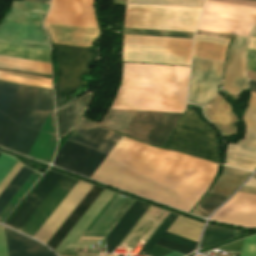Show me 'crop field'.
I'll list each match as a JSON object with an SVG mask.
<instances>
[{"label": "crop field", "mask_w": 256, "mask_h": 256, "mask_svg": "<svg viewBox=\"0 0 256 256\" xmlns=\"http://www.w3.org/2000/svg\"><path fill=\"white\" fill-rule=\"evenodd\" d=\"M196 34L212 36V37H219V38H226V39H234V40L237 37V36H234V35H227V34H221V33L207 32V31H201V30H198Z\"/></svg>", "instance_id": "crop-field-45"}, {"label": "crop field", "mask_w": 256, "mask_h": 256, "mask_svg": "<svg viewBox=\"0 0 256 256\" xmlns=\"http://www.w3.org/2000/svg\"><path fill=\"white\" fill-rule=\"evenodd\" d=\"M19 85L0 82V123L18 89Z\"/></svg>", "instance_id": "crop-field-36"}, {"label": "crop field", "mask_w": 256, "mask_h": 256, "mask_svg": "<svg viewBox=\"0 0 256 256\" xmlns=\"http://www.w3.org/2000/svg\"><path fill=\"white\" fill-rule=\"evenodd\" d=\"M256 24V8L205 2L199 28L248 37Z\"/></svg>", "instance_id": "crop-field-8"}, {"label": "crop field", "mask_w": 256, "mask_h": 256, "mask_svg": "<svg viewBox=\"0 0 256 256\" xmlns=\"http://www.w3.org/2000/svg\"><path fill=\"white\" fill-rule=\"evenodd\" d=\"M172 251L173 250H170L168 248H165V247H162V246L156 244L154 246V248L150 251L148 256H164Z\"/></svg>", "instance_id": "crop-field-43"}, {"label": "crop field", "mask_w": 256, "mask_h": 256, "mask_svg": "<svg viewBox=\"0 0 256 256\" xmlns=\"http://www.w3.org/2000/svg\"><path fill=\"white\" fill-rule=\"evenodd\" d=\"M4 73H10V74L22 75V76H28V77H35V78H39L40 80L17 77V76L4 74ZM0 79L7 80V81H12V82H18V83H24V84H30V85H37V86L52 88L51 87V79H48V78H42V77H36V76H30V75L0 71Z\"/></svg>", "instance_id": "crop-field-37"}, {"label": "crop field", "mask_w": 256, "mask_h": 256, "mask_svg": "<svg viewBox=\"0 0 256 256\" xmlns=\"http://www.w3.org/2000/svg\"><path fill=\"white\" fill-rule=\"evenodd\" d=\"M240 256H256V235L245 239Z\"/></svg>", "instance_id": "crop-field-40"}, {"label": "crop field", "mask_w": 256, "mask_h": 256, "mask_svg": "<svg viewBox=\"0 0 256 256\" xmlns=\"http://www.w3.org/2000/svg\"><path fill=\"white\" fill-rule=\"evenodd\" d=\"M248 38L238 36L230 45L227 62L226 76L223 89L238 93L247 87L246 75V48Z\"/></svg>", "instance_id": "crop-field-14"}, {"label": "crop field", "mask_w": 256, "mask_h": 256, "mask_svg": "<svg viewBox=\"0 0 256 256\" xmlns=\"http://www.w3.org/2000/svg\"><path fill=\"white\" fill-rule=\"evenodd\" d=\"M124 43L191 48L192 40L124 35Z\"/></svg>", "instance_id": "crop-field-29"}, {"label": "crop field", "mask_w": 256, "mask_h": 256, "mask_svg": "<svg viewBox=\"0 0 256 256\" xmlns=\"http://www.w3.org/2000/svg\"><path fill=\"white\" fill-rule=\"evenodd\" d=\"M92 100V92L74 100L68 106L58 110L59 135L64 136L77 124L79 118L86 112Z\"/></svg>", "instance_id": "crop-field-24"}, {"label": "crop field", "mask_w": 256, "mask_h": 256, "mask_svg": "<svg viewBox=\"0 0 256 256\" xmlns=\"http://www.w3.org/2000/svg\"><path fill=\"white\" fill-rule=\"evenodd\" d=\"M0 67L51 75L50 64L17 58L0 56Z\"/></svg>", "instance_id": "crop-field-28"}, {"label": "crop field", "mask_w": 256, "mask_h": 256, "mask_svg": "<svg viewBox=\"0 0 256 256\" xmlns=\"http://www.w3.org/2000/svg\"><path fill=\"white\" fill-rule=\"evenodd\" d=\"M206 105L211 107L207 109L204 107ZM204 106L206 117L219 127L223 136L237 133V128L235 127L237 119L231 105L223 96L217 94Z\"/></svg>", "instance_id": "crop-field-20"}, {"label": "crop field", "mask_w": 256, "mask_h": 256, "mask_svg": "<svg viewBox=\"0 0 256 256\" xmlns=\"http://www.w3.org/2000/svg\"><path fill=\"white\" fill-rule=\"evenodd\" d=\"M157 244L163 245V246H165V247H168V248L177 250V251L182 252V253H185V254H189V253H191V252L194 251V249H191V248H188V247H186V246H183V245H180V244L171 242V241L166 240V239H163V238H161V239L158 241Z\"/></svg>", "instance_id": "crop-field-41"}, {"label": "crop field", "mask_w": 256, "mask_h": 256, "mask_svg": "<svg viewBox=\"0 0 256 256\" xmlns=\"http://www.w3.org/2000/svg\"><path fill=\"white\" fill-rule=\"evenodd\" d=\"M190 67L123 63L111 108L182 113Z\"/></svg>", "instance_id": "crop-field-2"}, {"label": "crop field", "mask_w": 256, "mask_h": 256, "mask_svg": "<svg viewBox=\"0 0 256 256\" xmlns=\"http://www.w3.org/2000/svg\"><path fill=\"white\" fill-rule=\"evenodd\" d=\"M33 170L23 166L13 180L8 184L4 191L0 194V212L32 174Z\"/></svg>", "instance_id": "crop-field-31"}, {"label": "crop field", "mask_w": 256, "mask_h": 256, "mask_svg": "<svg viewBox=\"0 0 256 256\" xmlns=\"http://www.w3.org/2000/svg\"><path fill=\"white\" fill-rule=\"evenodd\" d=\"M54 45L57 51L56 102L58 108L65 104V91H73L86 84L81 80V76L90 75L91 67L97 57V50Z\"/></svg>", "instance_id": "crop-field-7"}, {"label": "crop field", "mask_w": 256, "mask_h": 256, "mask_svg": "<svg viewBox=\"0 0 256 256\" xmlns=\"http://www.w3.org/2000/svg\"><path fill=\"white\" fill-rule=\"evenodd\" d=\"M227 196L215 194L209 192L208 195L203 199V201L196 206L192 214L206 217L211 211H213L218 205H220Z\"/></svg>", "instance_id": "crop-field-33"}, {"label": "crop field", "mask_w": 256, "mask_h": 256, "mask_svg": "<svg viewBox=\"0 0 256 256\" xmlns=\"http://www.w3.org/2000/svg\"><path fill=\"white\" fill-rule=\"evenodd\" d=\"M245 185L251 186V187H256V180L250 179Z\"/></svg>", "instance_id": "crop-field-51"}, {"label": "crop field", "mask_w": 256, "mask_h": 256, "mask_svg": "<svg viewBox=\"0 0 256 256\" xmlns=\"http://www.w3.org/2000/svg\"><path fill=\"white\" fill-rule=\"evenodd\" d=\"M250 36L252 37H256V27L253 29V31L251 32Z\"/></svg>", "instance_id": "crop-field-53"}, {"label": "crop field", "mask_w": 256, "mask_h": 256, "mask_svg": "<svg viewBox=\"0 0 256 256\" xmlns=\"http://www.w3.org/2000/svg\"><path fill=\"white\" fill-rule=\"evenodd\" d=\"M135 113L136 111L109 109L101 124L124 133Z\"/></svg>", "instance_id": "crop-field-30"}, {"label": "crop field", "mask_w": 256, "mask_h": 256, "mask_svg": "<svg viewBox=\"0 0 256 256\" xmlns=\"http://www.w3.org/2000/svg\"><path fill=\"white\" fill-rule=\"evenodd\" d=\"M191 49L124 44L123 61L190 66Z\"/></svg>", "instance_id": "crop-field-11"}, {"label": "crop field", "mask_w": 256, "mask_h": 256, "mask_svg": "<svg viewBox=\"0 0 256 256\" xmlns=\"http://www.w3.org/2000/svg\"><path fill=\"white\" fill-rule=\"evenodd\" d=\"M249 48L256 50V38L250 37Z\"/></svg>", "instance_id": "crop-field-49"}, {"label": "crop field", "mask_w": 256, "mask_h": 256, "mask_svg": "<svg viewBox=\"0 0 256 256\" xmlns=\"http://www.w3.org/2000/svg\"><path fill=\"white\" fill-rule=\"evenodd\" d=\"M49 5L12 1V9L4 18L5 21L41 26V21Z\"/></svg>", "instance_id": "crop-field-21"}, {"label": "crop field", "mask_w": 256, "mask_h": 256, "mask_svg": "<svg viewBox=\"0 0 256 256\" xmlns=\"http://www.w3.org/2000/svg\"><path fill=\"white\" fill-rule=\"evenodd\" d=\"M204 0H127V3L202 8Z\"/></svg>", "instance_id": "crop-field-34"}, {"label": "crop field", "mask_w": 256, "mask_h": 256, "mask_svg": "<svg viewBox=\"0 0 256 256\" xmlns=\"http://www.w3.org/2000/svg\"><path fill=\"white\" fill-rule=\"evenodd\" d=\"M17 162L18 161L11 157L3 154L0 155V183L4 180Z\"/></svg>", "instance_id": "crop-field-39"}, {"label": "crop field", "mask_w": 256, "mask_h": 256, "mask_svg": "<svg viewBox=\"0 0 256 256\" xmlns=\"http://www.w3.org/2000/svg\"><path fill=\"white\" fill-rule=\"evenodd\" d=\"M76 182L77 180L63 175L42 203L21 227L20 231L33 237Z\"/></svg>", "instance_id": "crop-field-13"}, {"label": "crop field", "mask_w": 256, "mask_h": 256, "mask_svg": "<svg viewBox=\"0 0 256 256\" xmlns=\"http://www.w3.org/2000/svg\"><path fill=\"white\" fill-rule=\"evenodd\" d=\"M0 43H6V44H12V45H18V46H24V47H30V48H36V49H42V50H48V51H50V49L41 48V47H34V46H28V45H22V44H15V43H9V42H2V41H0Z\"/></svg>", "instance_id": "crop-field-48"}, {"label": "crop field", "mask_w": 256, "mask_h": 256, "mask_svg": "<svg viewBox=\"0 0 256 256\" xmlns=\"http://www.w3.org/2000/svg\"><path fill=\"white\" fill-rule=\"evenodd\" d=\"M0 40L50 48L44 28L4 21L0 23Z\"/></svg>", "instance_id": "crop-field-18"}, {"label": "crop field", "mask_w": 256, "mask_h": 256, "mask_svg": "<svg viewBox=\"0 0 256 256\" xmlns=\"http://www.w3.org/2000/svg\"><path fill=\"white\" fill-rule=\"evenodd\" d=\"M248 70L256 72V51L249 49Z\"/></svg>", "instance_id": "crop-field-44"}, {"label": "crop field", "mask_w": 256, "mask_h": 256, "mask_svg": "<svg viewBox=\"0 0 256 256\" xmlns=\"http://www.w3.org/2000/svg\"><path fill=\"white\" fill-rule=\"evenodd\" d=\"M0 55L50 63L51 52L0 44Z\"/></svg>", "instance_id": "crop-field-27"}, {"label": "crop field", "mask_w": 256, "mask_h": 256, "mask_svg": "<svg viewBox=\"0 0 256 256\" xmlns=\"http://www.w3.org/2000/svg\"><path fill=\"white\" fill-rule=\"evenodd\" d=\"M61 176L62 174L48 171L12 217L7 221L6 225L19 230Z\"/></svg>", "instance_id": "crop-field-15"}, {"label": "crop field", "mask_w": 256, "mask_h": 256, "mask_svg": "<svg viewBox=\"0 0 256 256\" xmlns=\"http://www.w3.org/2000/svg\"><path fill=\"white\" fill-rule=\"evenodd\" d=\"M120 137L81 119L56 153L53 164L90 178Z\"/></svg>", "instance_id": "crop-field-4"}, {"label": "crop field", "mask_w": 256, "mask_h": 256, "mask_svg": "<svg viewBox=\"0 0 256 256\" xmlns=\"http://www.w3.org/2000/svg\"><path fill=\"white\" fill-rule=\"evenodd\" d=\"M252 92H256V81L248 80Z\"/></svg>", "instance_id": "crop-field-50"}, {"label": "crop field", "mask_w": 256, "mask_h": 256, "mask_svg": "<svg viewBox=\"0 0 256 256\" xmlns=\"http://www.w3.org/2000/svg\"><path fill=\"white\" fill-rule=\"evenodd\" d=\"M102 191L103 189L93 186L46 245L55 250Z\"/></svg>", "instance_id": "crop-field-22"}, {"label": "crop field", "mask_w": 256, "mask_h": 256, "mask_svg": "<svg viewBox=\"0 0 256 256\" xmlns=\"http://www.w3.org/2000/svg\"><path fill=\"white\" fill-rule=\"evenodd\" d=\"M93 3L94 0H53L45 21L99 28Z\"/></svg>", "instance_id": "crop-field-12"}, {"label": "crop field", "mask_w": 256, "mask_h": 256, "mask_svg": "<svg viewBox=\"0 0 256 256\" xmlns=\"http://www.w3.org/2000/svg\"><path fill=\"white\" fill-rule=\"evenodd\" d=\"M251 173L225 167L211 192L229 196Z\"/></svg>", "instance_id": "crop-field-26"}, {"label": "crop field", "mask_w": 256, "mask_h": 256, "mask_svg": "<svg viewBox=\"0 0 256 256\" xmlns=\"http://www.w3.org/2000/svg\"><path fill=\"white\" fill-rule=\"evenodd\" d=\"M149 205L136 201L118 225L107 237V253H112L130 229L135 225Z\"/></svg>", "instance_id": "crop-field-25"}, {"label": "crop field", "mask_w": 256, "mask_h": 256, "mask_svg": "<svg viewBox=\"0 0 256 256\" xmlns=\"http://www.w3.org/2000/svg\"><path fill=\"white\" fill-rule=\"evenodd\" d=\"M180 115L137 111L125 134L162 146Z\"/></svg>", "instance_id": "crop-field-10"}, {"label": "crop field", "mask_w": 256, "mask_h": 256, "mask_svg": "<svg viewBox=\"0 0 256 256\" xmlns=\"http://www.w3.org/2000/svg\"><path fill=\"white\" fill-rule=\"evenodd\" d=\"M176 217L177 215L171 213L170 216L165 220V222L160 226V228L155 232V234L150 238V240L145 244V246L140 250L139 253L144 251L145 254H148L154 244L161 238V236L176 219Z\"/></svg>", "instance_id": "crop-field-38"}, {"label": "crop field", "mask_w": 256, "mask_h": 256, "mask_svg": "<svg viewBox=\"0 0 256 256\" xmlns=\"http://www.w3.org/2000/svg\"><path fill=\"white\" fill-rule=\"evenodd\" d=\"M117 196L113 195L112 198L109 200V202L106 204V206L103 208V210L100 212V214L97 216V218L94 220V222L91 224V226L88 228L87 231H91L92 228L96 225V223L100 220V218L104 215V213L108 210V208L112 205V203L116 200ZM123 199L119 198L118 201L114 204V206L110 209V211L107 213V215L103 218V220L99 223V225L95 228L94 231H98L100 227L105 223V221L110 217V215L116 210V208L121 204ZM130 199L124 200L122 204L117 208V210L112 214V216L106 221V223L101 227L99 231L106 232L107 229L111 226V224L114 222V220L118 217V215L122 212V210L125 208V206L129 203ZM130 203L126 206V208L131 204ZM126 208L123 210V212L126 210ZM129 208V207H128ZM122 212V213H123ZM122 213L119 215V217L122 215ZM125 213V212H124ZM123 213V214H124ZM118 217V218H119ZM118 218L115 220V222L118 220ZM121 218V217H120ZM119 218V219H120ZM114 222V223H115ZM118 222V221H117ZM116 222V223H117ZM113 223V224H114ZM115 223V224H116ZM112 224V226H113ZM111 226V227H112ZM110 227V228H111ZM114 227V226H113ZM112 227V228H113ZM109 228V229H110ZM111 228V229H112ZM108 229V231H109ZM110 229V231H111ZM107 231V232H108ZM109 231V232H110ZM108 233H97V232H85L84 235L81 237V239L78 241L77 244H94L97 245L98 240H104V238L107 236Z\"/></svg>", "instance_id": "crop-field-19"}, {"label": "crop field", "mask_w": 256, "mask_h": 256, "mask_svg": "<svg viewBox=\"0 0 256 256\" xmlns=\"http://www.w3.org/2000/svg\"><path fill=\"white\" fill-rule=\"evenodd\" d=\"M239 191L256 195V188L243 186Z\"/></svg>", "instance_id": "crop-field-47"}, {"label": "crop field", "mask_w": 256, "mask_h": 256, "mask_svg": "<svg viewBox=\"0 0 256 256\" xmlns=\"http://www.w3.org/2000/svg\"><path fill=\"white\" fill-rule=\"evenodd\" d=\"M52 106V90L20 85L0 125V147L29 157Z\"/></svg>", "instance_id": "crop-field-3"}, {"label": "crop field", "mask_w": 256, "mask_h": 256, "mask_svg": "<svg viewBox=\"0 0 256 256\" xmlns=\"http://www.w3.org/2000/svg\"><path fill=\"white\" fill-rule=\"evenodd\" d=\"M163 147L218 163L215 132L186 108Z\"/></svg>", "instance_id": "crop-field-5"}, {"label": "crop field", "mask_w": 256, "mask_h": 256, "mask_svg": "<svg viewBox=\"0 0 256 256\" xmlns=\"http://www.w3.org/2000/svg\"><path fill=\"white\" fill-rule=\"evenodd\" d=\"M218 166L122 136L91 178L190 212Z\"/></svg>", "instance_id": "crop-field-1"}, {"label": "crop field", "mask_w": 256, "mask_h": 256, "mask_svg": "<svg viewBox=\"0 0 256 256\" xmlns=\"http://www.w3.org/2000/svg\"><path fill=\"white\" fill-rule=\"evenodd\" d=\"M124 34L192 39L194 33L124 28Z\"/></svg>", "instance_id": "crop-field-35"}, {"label": "crop field", "mask_w": 256, "mask_h": 256, "mask_svg": "<svg viewBox=\"0 0 256 256\" xmlns=\"http://www.w3.org/2000/svg\"><path fill=\"white\" fill-rule=\"evenodd\" d=\"M9 256H56L46 247L4 227Z\"/></svg>", "instance_id": "crop-field-23"}, {"label": "crop field", "mask_w": 256, "mask_h": 256, "mask_svg": "<svg viewBox=\"0 0 256 256\" xmlns=\"http://www.w3.org/2000/svg\"><path fill=\"white\" fill-rule=\"evenodd\" d=\"M185 254H182V253H179V252H176V251H174V252H172V253H170V254H168V255H166V256H184Z\"/></svg>", "instance_id": "crop-field-52"}, {"label": "crop field", "mask_w": 256, "mask_h": 256, "mask_svg": "<svg viewBox=\"0 0 256 256\" xmlns=\"http://www.w3.org/2000/svg\"><path fill=\"white\" fill-rule=\"evenodd\" d=\"M0 256H8L3 227H0Z\"/></svg>", "instance_id": "crop-field-46"}, {"label": "crop field", "mask_w": 256, "mask_h": 256, "mask_svg": "<svg viewBox=\"0 0 256 256\" xmlns=\"http://www.w3.org/2000/svg\"><path fill=\"white\" fill-rule=\"evenodd\" d=\"M85 80H90V77H85Z\"/></svg>", "instance_id": "crop-field-55"}, {"label": "crop field", "mask_w": 256, "mask_h": 256, "mask_svg": "<svg viewBox=\"0 0 256 256\" xmlns=\"http://www.w3.org/2000/svg\"><path fill=\"white\" fill-rule=\"evenodd\" d=\"M163 238H166V239H169L171 241L186 245V246L194 248V249L196 248V244H197L196 242L190 241L188 239L176 236V235L168 233V232L165 233Z\"/></svg>", "instance_id": "crop-field-42"}, {"label": "crop field", "mask_w": 256, "mask_h": 256, "mask_svg": "<svg viewBox=\"0 0 256 256\" xmlns=\"http://www.w3.org/2000/svg\"><path fill=\"white\" fill-rule=\"evenodd\" d=\"M252 177H255V178H256V173H255Z\"/></svg>", "instance_id": "crop-field-56"}, {"label": "crop field", "mask_w": 256, "mask_h": 256, "mask_svg": "<svg viewBox=\"0 0 256 256\" xmlns=\"http://www.w3.org/2000/svg\"><path fill=\"white\" fill-rule=\"evenodd\" d=\"M89 248H91V245H89Z\"/></svg>", "instance_id": "crop-field-57"}, {"label": "crop field", "mask_w": 256, "mask_h": 256, "mask_svg": "<svg viewBox=\"0 0 256 256\" xmlns=\"http://www.w3.org/2000/svg\"><path fill=\"white\" fill-rule=\"evenodd\" d=\"M214 220L244 227H256V196L241 193Z\"/></svg>", "instance_id": "crop-field-16"}, {"label": "crop field", "mask_w": 256, "mask_h": 256, "mask_svg": "<svg viewBox=\"0 0 256 256\" xmlns=\"http://www.w3.org/2000/svg\"><path fill=\"white\" fill-rule=\"evenodd\" d=\"M30 1H37V2H43V3L49 2V0H30Z\"/></svg>", "instance_id": "crop-field-54"}, {"label": "crop field", "mask_w": 256, "mask_h": 256, "mask_svg": "<svg viewBox=\"0 0 256 256\" xmlns=\"http://www.w3.org/2000/svg\"><path fill=\"white\" fill-rule=\"evenodd\" d=\"M54 43L88 47L99 36V29L44 22ZM44 26V27H45Z\"/></svg>", "instance_id": "crop-field-17"}, {"label": "crop field", "mask_w": 256, "mask_h": 256, "mask_svg": "<svg viewBox=\"0 0 256 256\" xmlns=\"http://www.w3.org/2000/svg\"><path fill=\"white\" fill-rule=\"evenodd\" d=\"M232 232L233 231L231 230L221 229L207 225L199 248L206 249L216 244L227 241L232 238Z\"/></svg>", "instance_id": "crop-field-32"}, {"label": "crop field", "mask_w": 256, "mask_h": 256, "mask_svg": "<svg viewBox=\"0 0 256 256\" xmlns=\"http://www.w3.org/2000/svg\"><path fill=\"white\" fill-rule=\"evenodd\" d=\"M223 61L193 56L188 101L203 106L218 93Z\"/></svg>", "instance_id": "crop-field-9"}, {"label": "crop field", "mask_w": 256, "mask_h": 256, "mask_svg": "<svg viewBox=\"0 0 256 256\" xmlns=\"http://www.w3.org/2000/svg\"><path fill=\"white\" fill-rule=\"evenodd\" d=\"M201 10L127 4L124 27L194 32Z\"/></svg>", "instance_id": "crop-field-6"}]
</instances>
